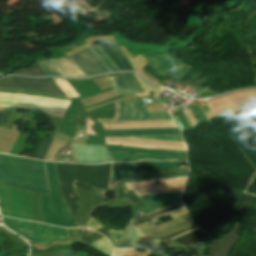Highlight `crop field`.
I'll return each instance as SVG.
<instances>
[{"mask_svg":"<svg viewBox=\"0 0 256 256\" xmlns=\"http://www.w3.org/2000/svg\"><path fill=\"white\" fill-rule=\"evenodd\" d=\"M122 232L123 231H121V230H119L118 232L113 231V230L109 231L110 240H111V242H112L114 247L116 246V244H117V242H118Z\"/></svg>","mask_w":256,"mask_h":256,"instance_id":"obj_32","label":"crop field"},{"mask_svg":"<svg viewBox=\"0 0 256 256\" xmlns=\"http://www.w3.org/2000/svg\"><path fill=\"white\" fill-rule=\"evenodd\" d=\"M182 192L179 193H170V194H161V195H152V196H143L141 197L150 208L154 211L159 210L161 208L167 207L169 205L175 204L180 202V195Z\"/></svg>","mask_w":256,"mask_h":256,"instance_id":"obj_11","label":"crop field"},{"mask_svg":"<svg viewBox=\"0 0 256 256\" xmlns=\"http://www.w3.org/2000/svg\"><path fill=\"white\" fill-rule=\"evenodd\" d=\"M53 79L66 96L75 97V98L79 97L76 91L68 84V82L65 79H61V78H53Z\"/></svg>","mask_w":256,"mask_h":256,"instance_id":"obj_22","label":"crop field"},{"mask_svg":"<svg viewBox=\"0 0 256 256\" xmlns=\"http://www.w3.org/2000/svg\"><path fill=\"white\" fill-rule=\"evenodd\" d=\"M85 227H89L96 230L98 228H101L102 225H100L95 219L91 218Z\"/></svg>","mask_w":256,"mask_h":256,"instance_id":"obj_35","label":"crop field"},{"mask_svg":"<svg viewBox=\"0 0 256 256\" xmlns=\"http://www.w3.org/2000/svg\"><path fill=\"white\" fill-rule=\"evenodd\" d=\"M121 173L179 167L178 161L152 162L118 166Z\"/></svg>","mask_w":256,"mask_h":256,"instance_id":"obj_14","label":"crop field"},{"mask_svg":"<svg viewBox=\"0 0 256 256\" xmlns=\"http://www.w3.org/2000/svg\"><path fill=\"white\" fill-rule=\"evenodd\" d=\"M115 161L121 162H133L138 161L140 158L150 159V160H174V159H182V158H172V157H161V156H149V155H131V154H119V153H111ZM185 160L186 159H182Z\"/></svg>","mask_w":256,"mask_h":256,"instance_id":"obj_18","label":"crop field"},{"mask_svg":"<svg viewBox=\"0 0 256 256\" xmlns=\"http://www.w3.org/2000/svg\"><path fill=\"white\" fill-rule=\"evenodd\" d=\"M207 236L208 235L203 233L201 230L197 229V230L192 231L190 233H187V234H185L183 236H180V237L174 239L173 241H176V242L181 243V244L188 245L190 243H193L195 241L203 239V238H205Z\"/></svg>","mask_w":256,"mask_h":256,"instance_id":"obj_20","label":"crop field"},{"mask_svg":"<svg viewBox=\"0 0 256 256\" xmlns=\"http://www.w3.org/2000/svg\"><path fill=\"white\" fill-rule=\"evenodd\" d=\"M0 185L49 194L43 162L11 155L0 154Z\"/></svg>","mask_w":256,"mask_h":256,"instance_id":"obj_2","label":"crop field"},{"mask_svg":"<svg viewBox=\"0 0 256 256\" xmlns=\"http://www.w3.org/2000/svg\"><path fill=\"white\" fill-rule=\"evenodd\" d=\"M39 65L44 69V71L48 74V75H59L61 76L56 70L55 68L47 61H43V62H39Z\"/></svg>","mask_w":256,"mask_h":256,"instance_id":"obj_29","label":"crop field"},{"mask_svg":"<svg viewBox=\"0 0 256 256\" xmlns=\"http://www.w3.org/2000/svg\"><path fill=\"white\" fill-rule=\"evenodd\" d=\"M110 80L115 85L113 86L114 89L135 93L143 91L133 73H123L120 76L111 77Z\"/></svg>","mask_w":256,"mask_h":256,"instance_id":"obj_12","label":"crop field"},{"mask_svg":"<svg viewBox=\"0 0 256 256\" xmlns=\"http://www.w3.org/2000/svg\"><path fill=\"white\" fill-rule=\"evenodd\" d=\"M184 207L182 203L180 204H177V205H174V206H171V207H168V208H165V209H162V210H159V211H156V212H153L149 215H147L146 217H138V218H133L134 220V224H138L140 222H143L147 219H151V218H155V217H158L160 215H163V214H166V213H169L171 211H174V210H177L179 208H182Z\"/></svg>","mask_w":256,"mask_h":256,"instance_id":"obj_21","label":"crop field"},{"mask_svg":"<svg viewBox=\"0 0 256 256\" xmlns=\"http://www.w3.org/2000/svg\"><path fill=\"white\" fill-rule=\"evenodd\" d=\"M0 92L72 100V98L70 97H63L59 95H50V94H40V93L18 91V90L0 89Z\"/></svg>","mask_w":256,"mask_h":256,"instance_id":"obj_24","label":"crop field"},{"mask_svg":"<svg viewBox=\"0 0 256 256\" xmlns=\"http://www.w3.org/2000/svg\"><path fill=\"white\" fill-rule=\"evenodd\" d=\"M123 180V177L116 166V163H113V170L111 175V181Z\"/></svg>","mask_w":256,"mask_h":256,"instance_id":"obj_33","label":"crop field"},{"mask_svg":"<svg viewBox=\"0 0 256 256\" xmlns=\"http://www.w3.org/2000/svg\"><path fill=\"white\" fill-rule=\"evenodd\" d=\"M56 256H74L72 251L62 250Z\"/></svg>","mask_w":256,"mask_h":256,"instance_id":"obj_36","label":"crop field"},{"mask_svg":"<svg viewBox=\"0 0 256 256\" xmlns=\"http://www.w3.org/2000/svg\"><path fill=\"white\" fill-rule=\"evenodd\" d=\"M95 54L106 64V66L112 71H118L116 67L110 62V60L105 56V54L99 49L97 45L91 47Z\"/></svg>","mask_w":256,"mask_h":256,"instance_id":"obj_28","label":"crop field"},{"mask_svg":"<svg viewBox=\"0 0 256 256\" xmlns=\"http://www.w3.org/2000/svg\"><path fill=\"white\" fill-rule=\"evenodd\" d=\"M100 48L106 53V55L112 60V62L118 67L120 71L126 70L106 42H103Z\"/></svg>","mask_w":256,"mask_h":256,"instance_id":"obj_25","label":"crop field"},{"mask_svg":"<svg viewBox=\"0 0 256 256\" xmlns=\"http://www.w3.org/2000/svg\"><path fill=\"white\" fill-rule=\"evenodd\" d=\"M62 75L66 77H86L81 70L70 60L66 57L61 59H49L48 60Z\"/></svg>","mask_w":256,"mask_h":256,"instance_id":"obj_13","label":"crop field"},{"mask_svg":"<svg viewBox=\"0 0 256 256\" xmlns=\"http://www.w3.org/2000/svg\"><path fill=\"white\" fill-rule=\"evenodd\" d=\"M140 138H153V139H165V140H178L183 141L181 135H156V136H139Z\"/></svg>","mask_w":256,"mask_h":256,"instance_id":"obj_30","label":"crop field"},{"mask_svg":"<svg viewBox=\"0 0 256 256\" xmlns=\"http://www.w3.org/2000/svg\"><path fill=\"white\" fill-rule=\"evenodd\" d=\"M117 109L118 120L172 119L169 113H146V107L137 103H117Z\"/></svg>","mask_w":256,"mask_h":256,"instance_id":"obj_7","label":"crop field"},{"mask_svg":"<svg viewBox=\"0 0 256 256\" xmlns=\"http://www.w3.org/2000/svg\"><path fill=\"white\" fill-rule=\"evenodd\" d=\"M110 152H120V153H139V154H149V155H161V156H177L186 157V152L178 151H165V150H148L139 148H127L118 146L107 145Z\"/></svg>","mask_w":256,"mask_h":256,"instance_id":"obj_15","label":"crop field"},{"mask_svg":"<svg viewBox=\"0 0 256 256\" xmlns=\"http://www.w3.org/2000/svg\"><path fill=\"white\" fill-rule=\"evenodd\" d=\"M50 195L41 194L42 209L45 223L63 227H77L62 196L64 197L73 217L76 212L79 196L76 194L74 182L90 184L93 166L44 162ZM110 179V164L94 166L91 184L105 189Z\"/></svg>","mask_w":256,"mask_h":256,"instance_id":"obj_1","label":"crop field"},{"mask_svg":"<svg viewBox=\"0 0 256 256\" xmlns=\"http://www.w3.org/2000/svg\"><path fill=\"white\" fill-rule=\"evenodd\" d=\"M53 138L40 137L30 158L44 160Z\"/></svg>","mask_w":256,"mask_h":256,"instance_id":"obj_19","label":"crop field"},{"mask_svg":"<svg viewBox=\"0 0 256 256\" xmlns=\"http://www.w3.org/2000/svg\"><path fill=\"white\" fill-rule=\"evenodd\" d=\"M71 58L87 76L111 72L90 48Z\"/></svg>","mask_w":256,"mask_h":256,"instance_id":"obj_9","label":"crop field"},{"mask_svg":"<svg viewBox=\"0 0 256 256\" xmlns=\"http://www.w3.org/2000/svg\"><path fill=\"white\" fill-rule=\"evenodd\" d=\"M0 88L64 95L50 78L29 79L22 77H7L0 80Z\"/></svg>","mask_w":256,"mask_h":256,"instance_id":"obj_4","label":"crop field"},{"mask_svg":"<svg viewBox=\"0 0 256 256\" xmlns=\"http://www.w3.org/2000/svg\"><path fill=\"white\" fill-rule=\"evenodd\" d=\"M108 45L111 47V49L114 51V53L117 55L127 70H134L132 65L129 63L128 58L116 43H108Z\"/></svg>","mask_w":256,"mask_h":256,"instance_id":"obj_23","label":"crop field"},{"mask_svg":"<svg viewBox=\"0 0 256 256\" xmlns=\"http://www.w3.org/2000/svg\"><path fill=\"white\" fill-rule=\"evenodd\" d=\"M105 141L106 144L111 145H118L119 143H121L124 146H137L146 148H160L186 151L185 143L178 141L152 140L127 137L105 138Z\"/></svg>","mask_w":256,"mask_h":256,"instance_id":"obj_6","label":"crop field"},{"mask_svg":"<svg viewBox=\"0 0 256 256\" xmlns=\"http://www.w3.org/2000/svg\"><path fill=\"white\" fill-rule=\"evenodd\" d=\"M13 74H22V75H30V76H47L45 72L41 69L38 63L34 64L32 68L19 70Z\"/></svg>","mask_w":256,"mask_h":256,"instance_id":"obj_26","label":"crop field"},{"mask_svg":"<svg viewBox=\"0 0 256 256\" xmlns=\"http://www.w3.org/2000/svg\"><path fill=\"white\" fill-rule=\"evenodd\" d=\"M91 245L93 247H95L96 249H98L108 255H110L112 252V248H111L108 240L105 237L93 242Z\"/></svg>","mask_w":256,"mask_h":256,"instance_id":"obj_27","label":"crop field"},{"mask_svg":"<svg viewBox=\"0 0 256 256\" xmlns=\"http://www.w3.org/2000/svg\"><path fill=\"white\" fill-rule=\"evenodd\" d=\"M122 175L124 177V182L149 180V179H157V178H165V177H179V176H188L189 168L184 167V168L162 169V170H154V171L126 173Z\"/></svg>","mask_w":256,"mask_h":256,"instance_id":"obj_10","label":"crop field"},{"mask_svg":"<svg viewBox=\"0 0 256 256\" xmlns=\"http://www.w3.org/2000/svg\"><path fill=\"white\" fill-rule=\"evenodd\" d=\"M10 114H11V112H9V111H0V127H4Z\"/></svg>","mask_w":256,"mask_h":256,"instance_id":"obj_34","label":"crop field"},{"mask_svg":"<svg viewBox=\"0 0 256 256\" xmlns=\"http://www.w3.org/2000/svg\"><path fill=\"white\" fill-rule=\"evenodd\" d=\"M2 218L8 228L33 243L48 245L57 241L69 242L67 231L64 228Z\"/></svg>","mask_w":256,"mask_h":256,"instance_id":"obj_3","label":"crop field"},{"mask_svg":"<svg viewBox=\"0 0 256 256\" xmlns=\"http://www.w3.org/2000/svg\"><path fill=\"white\" fill-rule=\"evenodd\" d=\"M76 163L100 164L114 159L106 146L72 144Z\"/></svg>","mask_w":256,"mask_h":256,"instance_id":"obj_5","label":"crop field"},{"mask_svg":"<svg viewBox=\"0 0 256 256\" xmlns=\"http://www.w3.org/2000/svg\"><path fill=\"white\" fill-rule=\"evenodd\" d=\"M149 63L158 68H164L167 70H172L175 66H177L179 63H181L180 60H178L177 58L173 57L170 54H166V55H160V56H152L147 58Z\"/></svg>","mask_w":256,"mask_h":256,"instance_id":"obj_17","label":"crop field"},{"mask_svg":"<svg viewBox=\"0 0 256 256\" xmlns=\"http://www.w3.org/2000/svg\"><path fill=\"white\" fill-rule=\"evenodd\" d=\"M158 243V240L147 238L135 228L131 218L117 247L156 249Z\"/></svg>","mask_w":256,"mask_h":256,"instance_id":"obj_8","label":"crop field"},{"mask_svg":"<svg viewBox=\"0 0 256 256\" xmlns=\"http://www.w3.org/2000/svg\"><path fill=\"white\" fill-rule=\"evenodd\" d=\"M105 137L155 134H180L179 129L104 131Z\"/></svg>","mask_w":256,"mask_h":256,"instance_id":"obj_16","label":"crop field"},{"mask_svg":"<svg viewBox=\"0 0 256 256\" xmlns=\"http://www.w3.org/2000/svg\"><path fill=\"white\" fill-rule=\"evenodd\" d=\"M194 228H196L195 225L189 226V227H186V228H183V229H181V230H179V231H176V232H174V233H172V234H169V235H167V236H165V237H162V238H160L159 240H171V239H173V238H175V237H177V236H179V235H181V234H183V233H185V232H187V231H189V230H192V229H194ZM157 239H158V238H157Z\"/></svg>","mask_w":256,"mask_h":256,"instance_id":"obj_31","label":"crop field"}]
</instances>
